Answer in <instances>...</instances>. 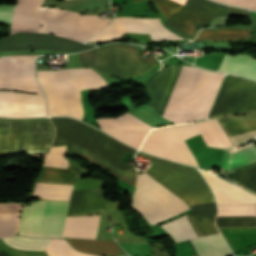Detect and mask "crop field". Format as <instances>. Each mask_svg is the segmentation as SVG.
Masks as SVG:
<instances>
[{"mask_svg":"<svg viewBox=\"0 0 256 256\" xmlns=\"http://www.w3.org/2000/svg\"><path fill=\"white\" fill-rule=\"evenodd\" d=\"M42 1L16 0L10 34L18 31L51 32L81 42L109 20L58 8L40 7Z\"/></svg>","mask_w":256,"mask_h":256,"instance_id":"obj_4","label":"crop field"},{"mask_svg":"<svg viewBox=\"0 0 256 256\" xmlns=\"http://www.w3.org/2000/svg\"><path fill=\"white\" fill-rule=\"evenodd\" d=\"M229 137L256 131V116L222 117L218 118ZM256 136V132L232 137L234 145Z\"/></svg>","mask_w":256,"mask_h":256,"instance_id":"obj_17","label":"crop field"},{"mask_svg":"<svg viewBox=\"0 0 256 256\" xmlns=\"http://www.w3.org/2000/svg\"><path fill=\"white\" fill-rule=\"evenodd\" d=\"M68 239L74 247L81 251L115 256L126 254L115 242H106L84 238Z\"/></svg>","mask_w":256,"mask_h":256,"instance_id":"obj_20","label":"crop field"},{"mask_svg":"<svg viewBox=\"0 0 256 256\" xmlns=\"http://www.w3.org/2000/svg\"><path fill=\"white\" fill-rule=\"evenodd\" d=\"M34 56L0 57V116L34 117L47 116L42 91L34 77Z\"/></svg>","mask_w":256,"mask_h":256,"instance_id":"obj_3","label":"crop field"},{"mask_svg":"<svg viewBox=\"0 0 256 256\" xmlns=\"http://www.w3.org/2000/svg\"><path fill=\"white\" fill-rule=\"evenodd\" d=\"M125 32L150 33L152 40L184 39L166 29L160 18H115L106 28L96 34L87 42H103L117 39Z\"/></svg>","mask_w":256,"mask_h":256,"instance_id":"obj_12","label":"crop field"},{"mask_svg":"<svg viewBox=\"0 0 256 256\" xmlns=\"http://www.w3.org/2000/svg\"><path fill=\"white\" fill-rule=\"evenodd\" d=\"M37 78L47 97L51 116L67 115L81 119L80 90L106 86L101 75L92 68L38 71Z\"/></svg>","mask_w":256,"mask_h":256,"instance_id":"obj_8","label":"crop field"},{"mask_svg":"<svg viewBox=\"0 0 256 256\" xmlns=\"http://www.w3.org/2000/svg\"><path fill=\"white\" fill-rule=\"evenodd\" d=\"M248 13H249V15H250V17H251V19H252L253 25L256 26V13H254V12H249V11H248Z\"/></svg>","mask_w":256,"mask_h":256,"instance_id":"obj_35","label":"crop field"},{"mask_svg":"<svg viewBox=\"0 0 256 256\" xmlns=\"http://www.w3.org/2000/svg\"><path fill=\"white\" fill-rule=\"evenodd\" d=\"M224 3L236 4L252 9H256V0H216Z\"/></svg>","mask_w":256,"mask_h":256,"instance_id":"obj_34","label":"crop field"},{"mask_svg":"<svg viewBox=\"0 0 256 256\" xmlns=\"http://www.w3.org/2000/svg\"><path fill=\"white\" fill-rule=\"evenodd\" d=\"M151 158V167L145 172L190 205L215 201L208 185L194 167L180 165L138 152ZM140 174L136 191L132 193L133 207L150 223H157L188 209V204L161 184Z\"/></svg>","mask_w":256,"mask_h":256,"instance_id":"obj_1","label":"crop field"},{"mask_svg":"<svg viewBox=\"0 0 256 256\" xmlns=\"http://www.w3.org/2000/svg\"><path fill=\"white\" fill-rule=\"evenodd\" d=\"M199 256H232L221 234L191 239Z\"/></svg>","mask_w":256,"mask_h":256,"instance_id":"obj_19","label":"crop field"},{"mask_svg":"<svg viewBox=\"0 0 256 256\" xmlns=\"http://www.w3.org/2000/svg\"><path fill=\"white\" fill-rule=\"evenodd\" d=\"M224 175L234 181L236 185H240L256 194V163L225 173Z\"/></svg>","mask_w":256,"mask_h":256,"instance_id":"obj_23","label":"crop field"},{"mask_svg":"<svg viewBox=\"0 0 256 256\" xmlns=\"http://www.w3.org/2000/svg\"><path fill=\"white\" fill-rule=\"evenodd\" d=\"M200 172L212 188L218 205L256 204V196H253L207 172L201 170Z\"/></svg>","mask_w":256,"mask_h":256,"instance_id":"obj_16","label":"crop field"},{"mask_svg":"<svg viewBox=\"0 0 256 256\" xmlns=\"http://www.w3.org/2000/svg\"><path fill=\"white\" fill-rule=\"evenodd\" d=\"M156 3L157 7L162 11L164 17L169 19L182 10V5L171 0H151Z\"/></svg>","mask_w":256,"mask_h":256,"instance_id":"obj_31","label":"crop field"},{"mask_svg":"<svg viewBox=\"0 0 256 256\" xmlns=\"http://www.w3.org/2000/svg\"><path fill=\"white\" fill-rule=\"evenodd\" d=\"M54 135L49 118L0 119V154L47 153Z\"/></svg>","mask_w":256,"mask_h":256,"instance_id":"obj_9","label":"crop field"},{"mask_svg":"<svg viewBox=\"0 0 256 256\" xmlns=\"http://www.w3.org/2000/svg\"><path fill=\"white\" fill-rule=\"evenodd\" d=\"M162 227L173 237L176 242L197 237L186 215L168 222L162 225Z\"/></svg>","mask_w":256,"mask_h":256,"instance_id":"obj_24","label":"crop field"},{"mask_svg":"<svg viewBox=\"0 0 256 256\" xmlns=\"http://www.w3.org/2000/svg\"><path fill=\"white\" fill-rule=\"evenodd\" d=\"M205 146H232L217 119L194 123ZM197 135L192 123L152 129L140 150L185 164L199 166L183 140Z\"/></svg>","mask_w":256,"mask_h":256,"instance_id":"obj_7","label":"crop field"},{"mask_svg":"<svg viewBox=\"0 0 256 256\" xmlns=\"http://www.w3.org/2000/svg\"><path fill=\"white\" fill-rule=\"evenodd\" d=\"M130 255L148 256L151 255L149 244L119 243Z\"/></svg>","mask_w":256,"mask_h":256,"instance_id":"obj_32","label":"crop field"},{"mask_svg":"<svg viewBox=\"0 0 256 256\" xmlns=\"http://www.w3.org/2000/svg\"><path fill=\"white\" fill-rule=\"evenodd\" d=\"M218 15H228L227 6L208 0H186L183 10L167 20V26L192 40L198 24L207 25Z\"/></svg>","mask_w":256,"mask_h":256,"instance_id":"obj_11","label":"crop field"},{"mask_svg":"<svg viewBox=\"0 0 256 256\" xmlns=\"http://www.w3.org/2000/svg\"><path fill=\"white\" fill-rule=\"evenodd\" d=\"M72 186L38 183L33 194L43 199L69 200Z\"/></svg>","mask_w":256,"mask_h":256,"instance_id":"obj_25","label":"crop field"},{"mask_svg":"<svg viewBox=\"0 0 256 256\" xmlns=\"http://www.w3.org/2000/svg\"><path fill=\"white\" fill-rule=\"evenodd\" d=\"M95 46L81 44L71 40L47 35L16 33L0 40V55L2 52L48 49L65 53L83 51Z\"/></svg>","mask_w":256,"mask_h":256,"instance_id":"obj_13","label":"crop field"},{"mask_svg":"<svg viewBox=\"0 0 256 256\" xmlns=\"http://www.w3.org/2000/svg\"><path fill=\"white\" fill-rule=\"evenodd\" d=\"M67 205L63 201L40 200L25 206L19 235L94 238L98 215L66 217Z\"/></svg>","mask_w":256,"mask_h":256,"instance_id":"obj_6","label":"crop field"},{"mask_svg":"<svg viewBox=\"0 0 256 256\" xmlns=\"http://www.w3.org/2000/svg\"><path fill=\"white\" fill-rule=\"evenodd\" d=\"M182 65H168L153 75L146 86L153 98L150 108L162 115Z\"/></svg>","mask_w":256,"mask_h":256,"instance_id":"obj_15","label":"crop field"},{"mask_svg":"<svg viewBox=\"0 0 256 256\" xmlns=\"http://www.w3.org/2000/svg\"><path fill=\"white\" fill-rule=\"evenodd\" d=\"M239 37H249V29H222L199 31L198 39H231Z\"/></svg>","mask_w":256,"mask_h":256,"instance_id":"obj_27","label":"crop field"},{"mask_svg":"<svg viewBox=\"0 0 256 256\" xmlns=\"http://www.w3.org/2000/svg\"><path fill=\"white\" fill-rule=\"evenodd\" d=\"M64 150L65 146L51 148L49 154L44 160L43 165L66 168L68 163L63 157Z\"/></svg>","mask_w":256,"mask_h":256,"instance_id":"obj_30","label":"crop field"},{"mask_svg":"<svg viewBox=\"0 0 256 256\" xmlns=\"http://www.w3.org/2000/svg\"><path fill=\"white\" fill-rule=\"evenodd\" d=\"M21 205L13 203L0 204V237L17 232Z\"/></svg>","mask_w":256,"mask_h":256,"instance_id":"obj_22","label":"crop field"},{"mask_svg":"<svg viewBox=\"0 0 256 256\" xmlns=\"http://www.w3.org/2000/svg\"><path fill=\"white\" fill-rule=\"evenodd\" d=\"M223 75L183 65L162 116L175 123L205 119Z\"/></svg>","mask_w":256,"mask_h":256,"instance_id":"obj_5","label":"crop field"},{"mask_svg":"<svg viewBox=\"0 0 256 256\" xmlns=\"http://www.w3.org/2000/svg\"><path fill=\"white\" fill-rule=\"evenodd\" d=\"M56 129L52 146L67 144V150L84 156L106 168L120 179L135 186L132 167L119 161L121 151L135 153L136 150L123 145L97 129L66 117L50 118Z\"/></svg>","mask_w":256,"mask_h":256,"instance_id":"obj_2","label":"crop field"},{"mask_svg":"<svg viewBox=\"0 0 256 256\" xmlns=\"http://www.w3.org/2000/svg\"><path fill=\"white\" fill-rule=\"evenodd\" d=\"M7 245L25 250H45L50 239L12 236L2 239Z\"/></svg>","mask_w":256,"mask_h":256,"instance_id":"obj_26","label":"crop field"},{"mask_svg":"<svg viewBox=\"0 0 256 256\" xmlns=\"http://www.w3.org/2000/svg\"><path fill=\"white\" fill-rule=\"evenodd\" d=\"M217 71L237 74L256 80V61L243 55H224Z\"/></svg>","mask_w":256,"mask_h":256,"instance_id":"obj_18","label":"crop field"},{"mask_svg":"<svg viewBox=\"0 0 256 256\" xmlns=\"http://www.w3.org/2000/svg\"><path fill=\"white\" fill-rule=\"evenodd\" d=\"M218 216L256 215L255 205L217 206Z\"/></svg>","mask_w":256,"mask_h":256,"instance_id":"obj_29","label":"crop field"},{"mask_svg":"<svg viewBox=\"0 0 256 256\" xmlns=\"http://www.w3.org/2000/svg\"><path fill=\"white\" fill-rule=\"evenodd\" d=\"M45 251L48 256H95L77 252L64 239H51Z\"/></svg>","mask_w":256,"mask_h":256,"instance_id":"obj_28","label":"crop field"},{"mask_svg":"<svg viewBox=\"0 0 256 256\" xmlns=\"http://www.w3.org/2000/svg\"><path fill=\"white\" fill-rule=\"evenodd\" d=\"M97 121L103 131L137 149L148 130L152 128L128 113L114 119H98Z\"/></svg>","mask_w":256,"mask_h":256,"instance_id":"obj_14","label":"crop field"},{"mask_svg":"<svg viewBox=\"0 0 256 256\" xmlns=\"http://www.w3.org/2000/svg\"><path fill=\"white\" fill-rule=\"evenodd\" d=\"M84 169L68 165L67 169L46 167L38 182L74 184Z\"/></svg>","mask_w":256,"mask_h":256,"instance_id":"obj_21","label":"crop field"},{"mask_svg":"<svg viewBox=\"0 0 256 256\" xmlns=\"http://www.w3.org/2000/svg\"><path fill=\"white\" fill-rule=\"evenodd\" d=\"M14 5H0V22H11Z\"/></svg>","mask_w":256,"mask_h":256,"instance_id":"obj_33","label":"crop field"},{"mask_svg":"<svg viewBox=\"0 0 256 256\" xmlns=\"http://www.w3.org/2000/svg\"><path fill=\"white\" fill-rule=\"evenodd\" d=\"M256 113V83L226 75L208 117Z\"/></svg>","mask_w":256,"mask_h":256,"instance_id":"obj_10","label":"crop field"}]
</instances>
